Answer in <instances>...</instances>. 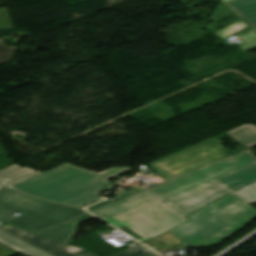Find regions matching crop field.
<instances>
[{
	"mask_svg": "<svg viewBox=\"0 0 256 256\" xmlns=\"http://www.w3.org/2000/svg\"><path fill=\"white\" fill-rule=\"evenodd\" d=\"M231 191L256 180V164L217 179Z\"/></svg>",
	"mask_w": 256,
	"mask_h": 256,
	"instance_id": "5a996713",
	"label": "crop field"
},
{
	"mask_svg": "<svg viewBox=\"0 0 256 256\" xmlns=\"http://www.w3.org/2000/svg\"><path fill=\"white\" fill-rule=\"evenodd\" d=\"M17 253L16 251L0 244V256H10Z\"/></svg>",
	"mask_w": 256,
	"mask_h": 256,
	"instance_id": "4a817a6b",
	"label": "crop field"
},
{
	"mask_svg": "<svg viewBox=\"0 0 256 256\" xmlns=\"http://www.w3.org/2000/svg\"><path fill=\"white\" fill-rule=\"evenodd\" d=\"M227 1H230V0H221L220 3H224V2H227Z\"/></svg>",
	"mask_w": 256,
	"mask_h": 256,
	"instance_id": "bc2a9ffb",
	"label": "crop field"
},
{
	"mask_svg": "<svg viewBox=\"0 0 256 256\" xmlns=\"http://www.w3.org/2000/svg\"><path fill=\"white\" fill-rule=\"evenodd\" d=\"M2 223H0V225H1Z\"/></svg>",
	"mask_w": 256,
	"mask_h": 256,
	"instance_id": "92a150f3",
	"label": "crop field"
},
{
	"mask_svg": "<svg viewBox=\"0 0 256 256\" xmlns=\"http://www.w3.org/2000/svg\"><path fill=\"white\" fill-rule=\"evenodd\" d=\"M230 137L250 148L256 145V127L244 125L226 132Z\"/></svg>",
	"mask_w": 256,
	"mask_h": 256,
	"instance_id": "22f410ed",
	"label": "crop field"
},
{
	"mask_svg": "<svg viewBox=\"0 0 256 256\" xmlns=\"http://www.w3.org/2000/svg\"><path fill=\"white\" fill-rule=\"evenodd\" d=\"M224 5L256 29V0H233Z\"/></svg>",
	"mask_w": 256,
	"mask_h": 256,
	"instance_id": "3316defc",
	"label": "crop field"
},
{
	"mask_svg": "<svg viewBox=\"0 0 256 256\" xmlns=\"http://www.w3.org/2000/svg\"><path fill=\"white\" fill-rule=\"evenodd\" d=\"M216 138L189 147L179 153L158 160L150 166L158 171L166 180L182 173L227 156Z\"/></svg>",
	"mask_w": 256,
	"mask_h": 256,
	"instance_id": "412701ff",
	"label": "crop field"
},
{
	"mask_svg": "<svg viewBox=\"0 0 256 256\" xmlns=\"http://www.w3.org/2000/svg\"><path fill=\"white\" fill-rule=\"evenodd\" d=\"M137 192H139V191L136 190V189H134V188L124 190V191H122V192H119V193L115 194V198H114L113 201H108V200H106V201H104V202H102V203H99V204H97V205H95V206H92V207H90V208H87V210H88V211H91V210L98 209V208H100V207H103V206H105V205H107V204H110V203H112V202H115V201H117V200H120V199H122V198H125V197H127V196H129V195H132V194H134V193H137Z\"/></svg>",
	"mask_w": 256,
	"mask_h": 256,
	"instance_id": "5142ce71",
	"label": "crop field"
},
{
	"mask_svg": "<svg viewBox=\"0 0 256 256\" xmlns=\"http://www.w3.org/2000/svg\"><path fill=\"white\" fill-rule=\"evenodd\" d=\"M0 242L27 256H52L0 230Z\"/></svg>",
	"mask_w": 256,
	"mask_h": 256,
	"instance_id": "d1516ede",
	"label": "crop field"
},
{
	"mask_svg": "<svg viewBox=\"0 0 256 256\" xmlns=\"http://www.w3.org/2000/svg\"><path fill=\"white\" fill-rule=\"evenodd\" d=\"M48 204L47 201L5 188L0 191V222L16 218L11 215L15 212L24 214Z\"/></svg>",
	"mask_w": 256,
	"mask_h": 256,
	"instance_id": "e52e79f7",
	"label": "crop field"
},
{
	"mask_svg": "<svg viewBox=\"0 0 256 256\" xmlns=\"http://www.w3.org/2000/svg\"><path fill=\"white\" fill-rule=\"evenodd\" d=\"M13 50L14 47L5 45L3 41H0V64L5 63V61L10 56Z\"/></svg>",
	"mask_w": 256,
	"mask_h": 256,
	"instance_id": "d9b57169",
	"label": "crop field"
},
{
	"mask_svg": "<svg viewBox=\"0 0 256 256\" xmlns=\"http://www.w3.org/2000/svg\"><path fill=\"white\" fill-rule=\"evenodd\" d=\"M234 193L249 204L256 203V183L244 187Z\"/></svg>",
	"mask_w": 256,
	"mask_h": 256,
	"instance_id": "cbeb9de0",
	"label": "crop field"
},
{
	"mask_svg": "<svg viewBox=\"0 0 256 256\" xmlns=\"http://www.w3.org/2000/svg\"><path fill=\"white\" fill-rule=\"evenodd\" d=\"M191 221L170 231L194 247L218 244L256 218V210L235 194L190 215Z\"/></svg>",
	"mask_w": 256,
	"mask_h": 256,
	"instance_id": "34b2d1b8",
	"label": "crop field"
},
{
	"mask_svg": "<svg viewBox=\"0 0 256 256\" xmlns=\"http://www.w3.org/2000/svg\"><path fill=\"white\" fill-rule=\"evenodd\" d=\"M91 217L93 216L89 213H86L63 224L38 232L37 234L50 237L66 244L72 240L78 223Z\"/></svg>",
	"mask_w": 256,
	"mask_h": 256,
	"instance_id": "d8731c3e",
	"label": "crop field"
},
{
	"mask_svg": "<svg viewBox=\"0 0 256 256\" xmlns=\"http://www.w3.org/2000/svg\"><path fill=\"white\" fill-rule=\"evenodd\" d=\"M84 213L86 212L78 208L50 204L6 223L38 232Z\"/></svg>",
	"mask_w": 256,
	"mask_h": 256,
	"instance_id": "dd49c442",
	"label": "crop field"
},
{
	"mask_svg": "<svg viewBox=\"0 0 256 256\" xmlns=\"http://www.w3.org/2000/svg\"><path fill=\"white\" fill-rule=\"evenodd\" d=\"M254 163L247 150L91 212L113 226L129 228L143 242L188 221L186 216L230 192L215 179Z\"/></svg>",
	"mask_w": 256,
	"mask_h": 256,
	"instance_id": "8a807250",
	"label": "crop field"
},
{
	"mask_svg": "<svg viewBox=\"0 0 256 256\" xmlns=\"http://www.w3.org/2000/svg\"><path fill=\"white\" fill-rule=\"evenodd\" d=\"M10 23L6 9H0V30L8 29Z\"/></svg>",
	"mask_w": 256,
	"mask_h": 256,
	"instance_id": "733c2abd",
	"label": "crop field"
},
{
	"mask_svg": "<svg viewBox=\"0 0 256 256\" xmlns=\"http://www.w3.org/2000/svg\"><path fill=\"white\" fill-rule=\"evenodd\" d=\"M0 229L54 255V256H95L86 250H80L72 253L69 250L68 245H64L58 241L49 239L44 236L36 235L30 232H26L9 225L0 226ZM128 250L115 254L113 256H149L153 254L147 248L139 245L136 242H132L128 245Z\"/></svg>",
	"mask_w": 256,
	"mask_h": 256,
	"instance_id": "f4fd0767",
	"label": "crop field"
},
{
	"mask_svg": "<svg viewBox=\"0 0 256 256\" xmlns=\"http://www.w3.org/2000/svg\"><path fill=\"white\" fill-rule=\"evenodd\" d=\"M38 173L40 172L28 168H21L15 164L11 165L5 169L0 170V189L10 186Z\"/></svg>",
	"mask_w": 256,
	"mask_h": 256,
	"instance_id": "28ad6ade",
	"label": "crop field"
},
{
	"mask_svg": "<svg viewBox=\"0 0 256 256\" xmlns=\"http://www.w3.org/2000/svg\"><path fill=\"white\" fill-rule=\"evenodd\" d=\"M153 256H158V255L155 254V255H153Z\"/></svg>",
	"mask_w": 256,
	"mask_h": 256,
	"instance_id": "214f88e0",
	"label": "crop field"
},
{
	"mask_svg": "<svg viewBox=\"0 0 256 256\" xmlns=\"http://www.w3.org/2000/svg\"><path fill=\"white\" fill-rule=\"evenodd\" d=\"M130 170L119 167L95 173L66 163L10 187L51 202L83 207L100 200L98 193L116 186L108 181L110 177Z\"/></svg>",
	"mask_w": 256,
	"mask_h": 256,
	"instance_id": "ac0d7876",
	"label": "crop field"
}]
</instances>
